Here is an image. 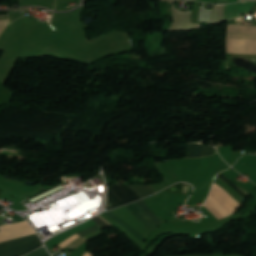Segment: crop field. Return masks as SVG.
Here are the masks:
<instances>
[{"mask_svg": "<svg viewBox=\"0 0 256 256\" xmlns=\"http://www.w3.org/2000/svg\"><path fill=\"white\" fill-rule=\"evenodd\" d=\"M42 246L37 234L0 244V256H22Z\"/></svg>", "mask_w": 256, "mask_h": 256, "instance_id": "8a807250", "label": "crop field"}, {"mask_svg": "<svg viewBox=\"0 0 256 256\" xmlns=\"http://www.w3.org/2000/svg\"><path fill=\"white\" fill-rule=\"evenodd\" d=\"M113 193H112V191ZM136 201L141 199L140 196L129 185H111L107 191L106 207L108 210L119 207L123 204L133 202L131 198ZM121 200V201H120Z\"/></svg>", "mask_w": 256, "mask_h": 256, "instance_id": "ac0d7876", "label": "crop field"}, {"mask_svg": "<svg viewBox=\"0 0 256 256\" xmlns=\"http://www.w3.org/2000/svg\"><path fill=\"white\" fill-rule=\"evenodd\" d=\"M226 39L256 40V26L228 25Z\"/></svg>", "mask_w": 256, "mask_h": 256, "instance_id": "34b2d1b8", "label": "crop field"}, {"mask_svg": "<svg viewBox=\"0 0 256 256\" xmlns=\"http://www.w3.org/2000/svg\"><path fill=\"white\" fill-rule=\"evenodd\" d=\"M255 2H242L237 4L226 5L224 21L237 18L250 11Z\"/></svg>", "mask_w": 256, "mask_h": 256, "instance_id": "412701ff", "label": "crop field"}, {"mask_svg": "<svg viewBox=\"0 0 256 256\" xmlns=\"http://www.w3.org/2000/svg\"><path fill=\"white\" fill-rule=\"evenodd\" d=\"M129 211H131L147 228L152 230L153 228L157 227L148 217L147 215L141 210V208L136 205L135 203L129 204L125 206Z\"/></svg>", "mask_w": 256, "mask_h": 256, "instance_id": "f4fd0767", "label": "crop field"}, {"mask_svg": "<svg viewBox=\"0 0 256 256\" xmlns=\"http://www.w3.org/2000/svg\"><path fill=\"white\" fill-rule=\"evenodd\" d=\"M204 146L186 144V158L200 157Z\"/></svg>", "mask_w": 256, "mask_h": 256, "instance_id": "dd49c442", "label": "crop field"}, {"mask_svg": "<svg viewBox=\"0 0 256 256\" xmlns=\"http://www.w3.org/2000/svg\"><path fill=\"white\" fill-rule=\"evenodd\" d=\"M142 198L152 195L155 192L149 185H130Z\"/></svg>", "mask_w": 256, "mask_h": 256, "instance_id": "e52e79f7", "label": "crop field"}, {"mask_svg": "<svg viewBox=\"0 0 256 256\" xmlns=\"http://www.w3.org/2000/svg\"><path fill=\"white\" fill-rule=\"evenodd\" d=\"M220 180L227 183L230 187H232L237 193H239L242 197L248 195L244 190H242L240 187H238L235 183H233L231 180H229L227 177H225L223 174L219 173L218 177ZM249 196V195H248Z\"/></svg>", "mask_w": 256, "mask_h": 256, "instance_id": "d8731c3e", "label": "crop field"}, {"mask_svg": "<svg viewBox=\"0 0 256 256\" xmlns=\"http://www.w3.org/2000/svg\"><path fill=\"white\" fill-rule=\"evenodd\" d=\"M137 204L150 216V218L155 222H159L156 216L151 212V210L147 207L143 200L137 202Z\"/></svg>", "mask_w": 256, "mask_h": 256, "instance_id": "5a996713", "label": "crop field"}, {"mask_svg": "<svg viewBox=\"0 0 256 256\" xmlns=\"http://www.w3.org/2000/svg\"><path fill=\"white\" fill-rule=\"evenodd\" d=\"M79 236L76 234L68 239H66L65 241H63L61 244H59L58 246L61 247L62 249L65 248L66 246H68L70 243H72L74 240L78 239Z\"/></svg>", "mask_w": 256, "mask_h": 256, "instance_id": "3316defc", "label": "crop field"}, {"mask_svg": "<svg viewBox=\"0 0 256 256\" xmlns=\"http://www.w3.org/2000/svg\"><path fill=\"white\" fill-rule=\"evenodd\" d=\"M99 229H100V228L98 227V225H95V226H93V227H91V228H89V229H87V230H84V231L78 233V235H79L80 237H82V236H84V235H87V234L92 233V232H94V231H97V230H99Z\"/></svg>", "mask_w": 256, "mask_h": 256, "instance_id": "28ad6ade", "label": "crop field"}, {"mask_svg": "<svg viewBox=\"0 0 256 256\" xmlns=\"http://www.w3.org/2000/svg\"><path fill=\"white\" fill-rule=\"evenodd\" d=\"M94 222H96L100 228H103L105 226H111L108 223H106L104 220H102L99 216L92 218Z\"/></svg>", "mask_w": 256, "mask_h": 256, "instance_id": "d1516ede", "label": "crop field"}, {"mask_svg": "<svg viewBox=\"0 0 256 256\" xmlns=\"http://www.w3.org/2000/svg\"><path fill=\"white\" fill-rule=\"evenodd\" d=\"M213 150H214L213 147L205 146L204 152H203V156H202V157L211 155L212 152H213Z\"/></svg>", "mask_w": 256, "mask_h": 256, "instance_id": "22f410ed", "label": "crop field"}, {"mask_svg": "<svg viewBox=\"0 0 256 256\" xmlns=\"http://www.w3.org/2000/svg\"><path fill=\"white\" fill-rule=\"evenodd\" d=\"M216 3H227V0H217Z\"/></svg>", "mask_w": 256, "mask_h": 256, "instance_id": "cbeb9de0", "label": "crop field"}, {"mask_svg": "<svg viewBox=\"0 0 256 256\" xmlns=\"http://www.w3.org/2000/svg\"><path fill=\"white\" fill-rule=\"evenodd\" d=\"M187 256H214V255H187Z\"/></svg>", "mask_w": 256, "mask_h": 256, "instance_id": "5142ce71", "label": "crop field"}, {"mask_svg": "<svg viewBox=\"0 0 256 256\" xmlns=\"http://www.w3.org/2000/svg\"><path fill=\"white\" fill-rule=\"evenodd\" d=\"M84 256H92V254L87 252Z\"/></svg>", "mask_w": 256, "mask_h": 256, "instance_id": "d9b57169", "label": "crop field"}, {"mask_svg": "<svg viewBox=\"0 0 256 256\" xmlns=\"http://www.w3.org/2000/svg\"><path fill=\"white\" fill-rule=\"evenodd\" d=\"M44 256H49L48 254L44 255Z\"/></svg>", "mask_w": 256, "mask_h": 256, "instance_id": "733c2abd", "label": "crop field"}]
</instances>
